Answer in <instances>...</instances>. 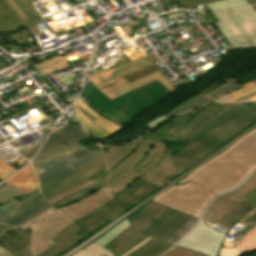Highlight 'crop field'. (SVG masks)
<instances>
[{
	"mask_svg": "<svg viewBox=\"0 0 256 256\" xmlns=\"http://www.w3.org/2000/svg\"><path fill=\"white\" fill-rule=\"evenodd\" d=\"M104 169V158L101 155L76 171L63 167L39 179L40 190L43 195L41 193L36 195L12 212L1 217L0 223L17 227L51 206L57 209L89 195L102 186L95 182L51 205L45 201L90 180Z\"/></svg>",
	"mask_w": 256,
	"mask_h": 256,
	"instance_id": "8a807250",
	"label": "crop field"
},
{
	"mask_svg": "<svg viewBox=\"0 0 256 256\" xmlns=\"http://www.w3.org/2000/svg\"><path fill=\"white\" fill-rule=\"evenodd\" d=\"M255 169L256 129L198 167L176 185L195 181L218 195L238 186Z\"/></svg>",
	"mask_w": 256,
	"mask_h": 256,
	"instance_id": "ac0d7876",
	"label": "crop field"
},
{
	"mask_svg": "<svg viewBox=\"0 0 256 256\" xmlns=\"http://www.w3.org/2000/svg\"><path fill=\"white\" fill-rule=\"evenodd\" d=\"M232 112H228L193 138L179 140L190 145L173 157L180 172L170 180L195 166L220 145L253 124Z\"/></svg>",
	"mask_w": 256,
	"mask_h": 256,
	"instance_id": "34b2d1b8",
	"label": "crop field"
},
{
	"mask_svg": "<svg viewBox=\"0 0 256 256\" xmlns=\"http://www.w3.org/2000/svg\"><path fill=\"white\" fill-rule=\"evenodd\" d=\"M168 93L169 91L156 79L113 99L125 109L123 110L104 96L91 82L85 84L84 92H82L99 109L126 124L151 107L154 102L167 96Z\"/></svg>",
	"mask_w": 256,
	"mask_h": 256,
	"instance_id": "412701ff",
	"label": "crop field"
},
{
	"mask_svg": "<svg viewBox=\"0 0 256 256\" xmlns=\"http://www.w3.org/2000/svg\"><path fill=\"white\" fill-rule=\"evenodd\" d=\"M158 188L160 187L138 179L109 204L95 211L86 218L75 222L82 228L78 235L84 237L107 224L120 213L126 211Z\"/></svg>",
	"mask_w": 256,
	"mask_h": 256,
	"instance_id": "f4fd0767",
	"label": "crop field"
},
{
	"mask_svg": "<svg viewBox=\"0 0 256 256\" xmlns=\"http://www.w3.org/2000/svg\"><path fill=\"white\" fill-rule=\"evenodd\" d=\"M216 26L237 48L256 46V14L250 7L212 11Z\"/></svg>",
	"mask_w": 256,
	"mask_h": 256,
	"instance_id": "dd49c442",
	"label": "crop field"
},
{
	"mask_svg": "<svg viewBox=\"0 0 256 256\" xmlns=\"http://www.w3.org/2000/svg\"><path fill=\"white\" fill-rule=\"evenodd\" d=\"M73 222L75 221L59 208L55 210L52 207L18 227L27 228L30 226L32 228L29 242L30 252L32 256H37L53 246L55 243L50 240Z\"/></svg>",
	"mask_w": 256,
	"mask_h": 256,
	"instance_id": "e52e79f7",
	"label": "crop field"
},
{
	"mask_svg": "<svg viewBox=\"0 0 256 256\" xmlns=\"http://www.w3.org/2000/svg\"><path fill=\"white\" fill-rule=\"evenodd\" d=\"M213 197L214 195L201 186L190 183L182 186H173L152 200L198 218Z\"/></svg>",
	"mask_w": 256,
	"mask_h": 256,
	"instance_id": "d8731c3e",
	"label": "crop field"
},
{
	"mask_svg": "<svg viewBox=\"0 0 256 256\" xmlns=\"http://www.w3.org/2000/svg\"><path fill=\"white\" fill-rule=\"evenodd\" d=\"M148 142H130L111 146L104 153L107 173L98 182L107 190L136 169L128 167ZM122 158V160H121Z\"/></svg>",
	"mask_w": 256,
	"mask_h": 256,
	"instance_id": "5a996713",
	"label": "crop field"
},
{
	"mask_svg": "<svg viewBox=\"0 0 256 256\" xmlns=\"http://www.w3.org/2000/svg\"><path fill=\"white\" fill-rule=\"evenodd\" d=\"M88 138L81 125L49 135L32 161L33 166L68 152L76 160L89 153L77 141Z\"/></svg>",
	"mask_w": 256,
	"mask_h": 256,
	"instance_id": "3316defc",
	"label": "crop field"
},
{
	"mask_svg": "<svg viewBox=\"0 0 256 256\" xmlns=\"http://www.w3.org/2000/svg\"><path fill=\"white\" fill-rule=\"evenodd\" d=\"M254 205L228 193L216 197L206 208L202 218L230 230Z\"/></svg>",
	"mask_w": 256,
	"mask_h": 256,
	"instance_id": "28ad6ade",
	"label": "crop field"
},
{
	"mask_svg": "<svg viewBox=\"0 0 256 256\" xmlns=\"http://www.w3.org/2000/svg\"><path fill=\"white\" fill-rule=\"evenodd\" d=\"M136 169L145 173L140 179L158 186L167 182L178 170L170 157L167 147L157 142ZM163 176L165 177L164 179L162 178Z\"/></svg>",
	"mask_w": 256,
	"mask_h": 256,
	"instance_id": "d1516ede",
	"label": "crop field"
},
{
	"mask_svg": "<svg viewBox=\"0 0 256 256\" xmlns=\"http://www.w3.org/2000/svg\"><path fill=\"white\" fill-rule=\"evenodd\" d=\"M28 19L21 21L5 0H0V32L8 33L28 27L33 35L40 34L36 24L42 22V17L29 0H13ZM35 38V37H34ZM36 40V39H35Z\"/></svg>",
	"mask_w": 256,
	"mask_h": 256,
	"instance_id": "22f410ed",
	"label": "crop field"
},
{
	"mask_svg": "<svg viewBox=\"0 0 256 256\" xmlns=\"http://www.w3.org/2000/svg\"><path fill=\"white\" fill-rule=\"evenodd\" d=\"M224 237L225 233L206 226L204 221L200 220L195 228L176 245L208 256H217Z\"/></svg>",
	"mask_w": 256,
	"mask_h": 256,
	"instance_id": "cbeb9de0",
	"label": "crop field"
},
{
	"mask_svg": "<svg viewBox=\"0 0 256 256\" xmlns=\"http://www.w3.org/2000/svg\"><path fill=\"white\" fill-rule=\"evenodd\" d=\"M223 106L212 102L208 105L196 109L191 115L187 116L183 121L178 124H174L152 140H166L170 142H176L186 133H188L196 125L204 121L211 114L220 110Z\"/></svg>",
	"mask_w": 256,
	"mask_h": 256,
	"instance_id": "5142ce71",
	"label": "crop field"
},
{
	"mask_svg": "<svg viewBox=\"0 0 256 256\" xmlns=\"http://www.w3.org/2000/svg\"><path fill=\"white\" fill-rule=\"evenodd\" d=\"M78 117L86 131L95 139L110 136L121 127L101 117L79 98L75 102Z\"/></svg>",
	"mask_w": 256,
	"mask_h": 256,
	"instance_id": "d9b57169",
	"label": "crop field"
},
{
	"mask_svg": "<svg viewBox=\"0 0 256 256\" xmlns=\"http://www.w3.org/2000/svg\"><path fill=\"white\" fill-rule=\"evenodd\" d=\"M173 212L175 210L151 201L128 221L142 234L149 235Z\"/></svg>",
	"mask_w": 256,
	"mask_h": 256,
	"instance_id": "733c2abd",
	"label": "crop field"
},
{
	"mask_svg": "<svg viewBox=\"0 0 256 256\" xmlns=\"http://www.w3.org/2000/svg\"><path fill=\"white\" fill-rule=\"evenodd\" d=\"M114 197L115 196L102 187L89 196L73 204L60 207V209L72 217L75 221H78L107 204Z\"/></svg>",
	"mask_w": 256,
	"mask_h": 256,
	"instance_id": "4a817a6b",
	"label": "crop field"
},
{
	"mask_svg": "<svg viewBox=\"0 0 256 256\" xmlns=\"http://www.w3.org/2000/svg\"><path fill=\"white\" fill-rule=\"evenodd\" d=\"M103 154L102 149H98L92 153H89L82 157L79 160H75L73 157H71L68 153L65 155H62L60 157L54 158L52 160H49L47 162H44L40 165H37L34 167V171L36 173L37 178H41L63 166H66L68 168H71L73 170L83 166L84 164L90 162L91 160L95 159L99 155Z\"/></svg>",
	"mask_w": 256,
	"mask_h": 256,
	"instance_id": "bc2a9ffb",
	"label": "crop field"
},
{
	"mask_svg": "<svg viewBox=\"0 0 256 256\" xmlns=\"http://www.w3.org/2000/svg\"><path fill=\"white\" fill-rule=\"evenodd\" d=\"M150 65H153V62L149 58V56L144 57L142 59H137L133 62L127 63L125 65L119 66L117 68L108 70L106 72L97 74L95 76H90L89 78L97 85H101L104 83H107L109 81H112L114 79H117L119 77L125 76L127 74H130L132 72H135L137 70L143 69L145 67H148ZM111 77V79H110Z\"/></svg>",
	"mask_w": 256,
	"mask_h": 256,
	"instance_id": "214f88e0",
	"label": "crop field"
},
{
	"mask_svg": "<svg viewBox=\"0 0 256 256\" xmlns=\"http://www.w3.org/2000/svg\"><path fill=\"white\" fill-rule=\"evenodd\" d=\"M29 228L26 230L6 227L0 232V246L12 255L28 246Z\"/></svg>",
	"mask_w": 256,
	"mask_h": 256,
	"instance_id": "92a150f3",
	"label": "crop field"
},
{
	"mask_svg": "<svg viewBox=\"0 0 256 256\" xmlns=\"http://www.w3.org/2000/svg\"><path fill=\"white\" fill-rule=\"evenodd\" d=\"M81 228L75 223L67 226L63 229L52 241L57 244L51 247L49 250L41 254L40 256H54L79 242L82 237L76 235Z\"/></svg>",
	"mask_w": 256,
	"mask_h": 256,
	"instance_id": "dafd665d",
	"label": "crop field"
},
{
	"mask_svg": "<svg viewBox=\"0 0 256 256\" xmlns=\"http://www.w3.org/2000/svg\"><path fill=\"white\" fill-rule=\"evenodd\" d=\"M6 182L25 192L26 194L38 188L37 180L31 165H28L20 172L15 174Z\"/></svg>",
	"mask_w": 256,
	"mask_h": 256,
	"instance_id": "00972430",
	"label": "crop field"
},
{
	"mask_svg": "<svg viewBox=\"0 0 256 256\" xmlns=\"http://www.w3.org/2000/svg\"><path fill=\"white\" fill-rule=\"evenodd\" d=\"M190 216L176 211L160 227L150 234L152 237L167 239L171 236Z\"/></svg>",
	"mask_w": 256,
	"mask_h": 256,
	"instance_id": "a9b5d70f",
	"label": "crop field"
},
{
	"mask_svg": "<svg viewBox=\"0 0 256 256\" xmlns=\"http://www.w3.org/2000/svg\"><path fill=\"white\" fill-rule=\"evenodd\" d=\"M255 250L256 225L234 246L232 250L221 247L218 256H240L243 253Z\"/></svg>",
	"mask_w": 256,
	"mask_h": 256,
	"instance_id": "4177f3b9",
	"label": "crop field"
},
{
	"mask_svg": "<svg viewBox=\"0 0 256 256\" xmlns=\"http://www.w3.org/2000/svg\"><path fill=\"white\" fill-rule=\"evenodd\" d=\"M156 78H158L170 92L175 90V89H177L166 79V77L160 71H158V72H156L154 74H151V75H149L147 77H144V78H142L140 80H137V81L132 82V83H130L128 85H125V86H123V87H121V88H119V89H117V90H115V91H113V92H111L109 94H107V93L106 94L111 99H113V98H115V97H117V96H119L121 94H124V93H126V92H128V91H130V90H132L134 88H137V87H139V86H141V85H143L145 83H148V82H150V81H152V80H154Z\"/></svg>",
	"mask_w": 256,
	"mask_h": 256,
	"instance_id": "730fd06b",
	"label": "crop field"
},
{
	"mask_svg": "<svg viewBox=\"0 0 256 256\" xmlns=\"http://www.w3.org/2000/svg\"><path fill=\"white\" fill-rule=\"evenodd\" d=\"M156 71H158V69L155 65H153L151 67H148V68H145L143 70L137 71V72L132 73L130 75H127L125 77H122V78H119V79L114 80L112 82H109L107 84L101 85L98 88H100L103 91V93L106 94V93H109V92H111V91H113V90H115V89H117V88H119V87H121L125 84H128L132 81H135L139 78L147 76V75H149L151 73H154Z\"/></svg>",
	"mask_w": 256,
	"mask_h": 256,
	"instance_id": "eef30255",
	"label": "crop field"
},
{
	"mask_svg": "<svg viewBox=\"0 0 256 256\" xmlns=\"http://www.w3.org/2000/svg\"><path fill=\"white\" fill-rule=\"evenodd\" d=\"M171 246L172 244L158 241L152 238L148 243L144 244L129 256H159L168 250Z\"/></svg>",
	"mask_w": 256,
	"mask_h": 256,
	"instance_id": "ae1a2a85",
	"label": "crop field"
},
{
	"mask_svg": "<svg viewBox=\"0 0 256 256\" xmlns=\"http://www.w3.org/2000/svg\"><path fill=\"white\" fill-rule=\"evenodd\" d=\"M210 101H212V100H210L209 98H207L205 96L198 94V95L182 102L179 106H177L176 108H174L173 110H171L170 112L165 114V116L170 118L177 114L191 111V110H193L199 106H202Z\"/></svg>",
	"mask_w": 256,
	"mask_h": 256,
	"instance_id": "d3111659",
	"label": "crop field"
},
{
	"mask_svg": "<svg viewBox=\"0 0 256 256\" xmlns=\"http://www.w3.org/2000/svg\"><path fill=\"white\" fill-rule=\"evenodd\" d=\"M72 56L71 53L61 57H55V58H51L48 59L44 62H41L37 65H35V67L41 72V74L43 76L50 74L52 72H55L61 68H65L67 66H69V64L67 62H69L66 58Z\"/></svg>",
	"mask_w": 256,
	"mask_h": 256,
	"instance_id": "750c4746",
	"label": "crop field"
},
{
	"mask_svg": "<svg viewBox=\"0 0 256 256\" xmlns=\"http://www.w3.org/2000/svg\"><path fill=\"white\" fill-rule=\"evenodd\" d=\"M150 239H151L150 237L146 238L145 240L140 242L138 245H136L134 248H132L130 251L125 253L123 256L129 255L130 253L135 251L138 247L142 246L144 243H146ZM105 254L107 256H113V254L111 252H109L106 249H104L103 247L93 243V244H91L87 247H84V248L78 250L77 252H75L71 256H103Z\"/></svg>",
	"mask_w": 256,
	"mask_h": 256,
	"instance_id": "bd1437ed",
	"label": "crop field"
},
{
	"mask_svg": "<svg viewBox=\"0 0 256 256\" xmlns=\"http://www.w3.org/2000/svg\"><path fill=\"white\" fill-rule=\"evenodd\" d=\"M231 193L256 204V172L245 184L241 185Z\"/></svg>",
	"mask_w": 256,
	"mask_h": 256,
	"instance_id": "1d83c4d3",
	"label": "crop field"
},
{
	"mask_svg": "<svg viewBox=\"0 0 256 256\" xmlns=\"http://www.w3.org/2000/svg\"><path fill=\"white\" fill-rule=\"evenodd\" d=\"M244 88L233 91L229 94H226L220 98L215 99L216 101H227V102H236L240 99H243L247 96H250L256 93V80L244 84Z\"/></svg>",
	"mask_w": 256,
	"mask_h": 256,
	"instance_id": "120bbe31",
	"label": "crop field"
},
{
	"mask_svg": "<svg viewBox=\"0 0 256 256\" xmlns=\"http://www.w3.org/2000/svg\"><path fill=\"white\" fill-rule=\"evenodd\" d=\"M129 225L130 224L127 222V219H124L122 222H120L115 227H113L108 232H106L104 235H102L97 240H95V243L104 247L107 243H109L112 239H114L118 234H120Z\"/></svg>",
	"mask_w": 256,
	"mask_h": 256,
	"instance_id": "d32e631a",
	"label": "crop field"
},
{
	"mask_svg": "<svg viewBox=\"0 0 256 256\" xmlns=\"http://www.w3.org/2000/svg\"><path fill=\"white\" fill-rule=\"evenodd\" d=\"M147 236L141 235L137 231L131 235L125 242H123L117 249H115L112 253L115 256H121L125 252H127L129 249L134 247L136 244H138L140 241L145 239Z\"/></svg>",
	"mask_w": 256,
	"mask_h": 256,
	"instance_id": "5866460e",
	"label": "crop field"
},
{
	"mask_svg": "<svg viewBox=\"0 0 256 256\" xmlns=\"http://www.w3.org/2000/svg\"><path fill=\"white\" fill-rule=\"evenodd\" d=\"M243 87L241 84L237 83L236 81L232 80L224 85H221L220 87L214 89L213 91L205 94L206 96L215 99L217 97H220L226 93H229L235 89H239ZM236 91V90H235Z\"/></svg>",
	"mask_w": 256,
	"mask_h": 256,
	"instance_id": "028f5c9d",
	"label": "crop field"
},
{
	"mask_svg": "<svg viewBox=\"0 0 256 256\" xmlns=\"http://www.w3.org/2000/svg\"><path fill=\"white\" fill-rule=\"evenodd\" d=\"M228 110L227 108H222L220 111H218L217 113H215L214 115L210 116L208 119H206L204 122H202L201 124H199L198 126H196L194 129H192L188 134H186L184 137L186 138H191L193 137L195 134H197L198 132H200L201 130H203L205 127H207L208 125H210L211 123H213L215 120H217L218 118H220L221 116H223L225 113H227Z\"/></svg>",
	"mask_w": 256,
	"mask_h": 256,
	"instance_id": "e1f06a70",
	"label": "crop field"
},
{
	"mask_svg": "<svg viewBox=\"0 0 256 256\" xmlns=\"http://www.w3.org/2000/svg\"><path fill=\"white\" fill-rule=\"evenodd\" d=\"M18 195L20 194L11 189L0 194V214L18 203L12 199Z\"/></svg>",
	"mask_w": 256,
	"mask_h": 256,
	"instance_id": "0bd39190",
	"label": "crop field"
},
{
	"mask_svg": "<svg viewBox=\"0 0 256 256\" xmlns=\"http://www.w3.org/2000/svg\"><path fill=\"white\" fill-rule=\"evenodd\" d=\"M141 175H143V173L137 170L108 191H110L112 194L116 196L125 188H127L130 184H132L135 180H137Z\"/></svg>",
	"mask_w": 256,
	"mask_h": 256,
	"instance_id": "b80d0937",
	"label": "crop field"
},
{
	"mask_svg": "<svg viewBox=\"0 0 256 256\" xmlns=\"http://www.w3.org/2000/svg\"><path fill=\"white\" fill-rule=\"evenodd\" d=\"M197 219L190 217L171 237L166 241L175 244L179 239H181L195 224Z\"/></svg>",
	"mask_w": 256,
	"mask_h": 256,
	"instance_id": "c035e120",
	"label": "crop field"
},
{
	"mask_svg": "<svg viewBox=\"0 0 256 256\" xmlns=\"http://www.w3.org/2000/svg\"><path fill=\"white\" fill-rule=\"evenodd\" d=\"M136 230L130 225L125 231H123L119 236H117L113 241H111L106 248L109 251H113L117 248L123 241H125L131 234H133Z\"/></svg>",
	"mask_w": 256,
	"mask_h": 256,
	"instance_id": "c21b1889",
	"label": "crop field"
},
{
	"mask_svg": "<svg viewBox=\"0 0 256 256\" xmlns=\"http://www.w3.org/2000/svg\"><path fill=\"white\" fill-rule=\"evenodd\" d=\"M249 5L245 0H224L212 4H208L210 9L232 8Z\"/></svg>",
	"mask_w": 256,
	"mask_h": 256,
	"instance_id": "03da06ac",
	"label": "crop field"
},
{
	"mask_svg": "<svg viewBox=\"0 0 256 256\" xmlns=\"http://www.w3.org/2000/svg\"><path fill=\"white\" fill-rule=\"evenodd\" d=\"M220 104L224 105L225 107H227L234 113L242 116L243 118H245L253 123L256 122V115L244 110L243 108L237 106L236 104H234V103H220Z\"/></svg>",
	"mask_w": 256,
	"mask_h": 256,
	"instance_id": "b54c1fbb",
	"label": "crop field"
},
{
	"mask_svg": "<svg viewBox=\"0 0 256 256\" xmlns=\"http://www.w3.org/2000/svg\"><path fill=\"white\" fill-rule=\"evenodd\" d=\"M162 256H204L201 254H197L185 249H181L178 247H174L173 249H171L169 252L165 253Z\"/></svg>",
	"mask_w": 256,
	"mask_h": 256,
	"instance_id": "5d738f31",
	"label": "crop field"
},
{
	"mask_svg": "<svg viewBox=\"0 0 256 256\" xmlns=\"http://www.w3.org/2000/svg\"><path fill=\"white\" fill-rule=\"evenodd\" d=\"M193 112V111H192ZM192 112H189V113H185V114H182V115H179V116H176L174 118H171L174 120V122H170L168 124H166L165 126L161 127L160 129H158L157 131H155L154 133H152L151 135L141 139V140H150L152 139L153 137H155L157 134H159L161 131L165 130L166 128H168L170 125H172L173 123L175 122H180L181 120H183L187 115H189L190 113ZM174 125V124H173ZM162 133V132H161Z\"/></svg>",
	"mask_w": 256,
	"mask_h": 256,
	"instance_id": "d23c7cc5",
	"label": "crop field"
},
{
	"mask_svg": "<svg viewBox=\"0 0 256 256\" xmlns=\"http://www.w3.org/2000/svg\"><path fill=\"white\" fill-rule=\"evenodd\" d=\"M14 168L6 164L1 158H0V178L5 180L10 175H12L14 172H16Z\"/></svg>",
	"mask_w": 256,
	"mask_h": 256,
	"instance_id": "425ffa30",
	"label": "crop field"
},
{
	"mask_svg": "<svg viewBox=\"0 0 256 256\" xmlns=\"http://www.w3.org/2000/svg\"><path fill=\"white\" fill-rule=\"evenodd\" d=\"M216 1H220V0H188L185 2H181V5L184 7V9H186L189 7L199 6V5L208 4Z\"/></svg>",
	"mask_w": 256,
	"mask_h": 256,
	"instance_id": "25e5ab78",
	"label": "crop field"
},
{
	"mask_svg": "<svg viewBox=\"0 0 256 256\" xmlns=\"http://www.w3.org/2000/svg\"><path fill=\"white\" fill-rule=\"evenodd\" d=\"M93 182H95V180L92 179V180L88 181L87 183H84V184H82V185H80V186H78V187H76V188H74V189L64 193V194H61L59 196H56V197H54L52 199L47 200V202H49L51 204V203H53V202H55V201L65 197V196H67V195H69V194H71V193H73V192H75V191H77V190H79V189H81V188H83V187L93 183Z\"/></svg>",
	"mask_w": 256,
	"mask_h": 256,
	"instance_id": "73cf0c24",
	"label": "crop field"
},
{
	"mask_svg": "<svg viewBox=\"0 0 256 256\" xmlns=\"http://www.w3.org/2000/svg\"><path fill=\"white\" fill-rule=\"evenodd\" d=\"M155 142H149L148 145L143 149V151L139 154V156L136 158V160L134 161V163H132L130 165V167L135 168L138 163L143 159V157L145 156V154L149 151V149L154 145Z\"/></svg>",
	"mask_w": 256,
	"mask_h": 256,
	"instance_id": "89e229c0",
	"label": "crop field"
},
{
	"mask_svg": "<svg viewBox=\"0 0 256 256\" xmlns=\"http://www.w3.org/2000/svg\"><path fill=\"white\" fill-rule=\"evenodd\" d=\"M256 224V209L246 218L243 225Z\"/></svg>",
	"mask_w": 256,
	"mask_h": 256,
	"instance_id": "1f2cbd36",
	"label": "crop field"
},
{
	"mask_svg": "<svg viewBox=\"0 0 256 256\" xmlns=\"http://www.w3.org/2000/svg\"><path fill=\"white\" fill-rule=\"evenodd\" d=\"M6 1L13 8V10L17 13V15L21 18V20L26 19L25 15L20 11V9L16 6V4L12 0H6Z\"/></svg>",
	"mask_w": 256,
	"mask_h": 256,
	"instance_id": "dbb93151",
	"label": "crop field"
},
{
	"mask_svg": "<svg viewBox=\"0 0 256 256\" xmlns=\"http://www.w3.org/2000/svg\"><path fill=\"white\" fill-rule=\"evenodd\" d=\"M167 119L168 118H166L165 116L162 115L161 117H159V118H157V119L147 123L145 126L150 129L151 127H153V126H155V125H157V124H159V123H161V122H163V121H165Z\"/></svg>",
	"mask_w": 256,
	"mask_h": 256,
	"instance_id": "0fb4a251",
	"label": "crop field"
},
{
	"mask_svg": "<svg viewBox=\"0 0 256 256\" xmlns=\"http://www.w3.org/2000/svg\"><path fill=\"white\" fill-rule=\"evenodd\" d=\"M141 26H143V25L141 23H139V24H136L134 26L125 25V26H122L120 28L124 32V34H126L128 32H131V30H133V29H135L137 27H141Z\"/></svg>",
	"mask_w": 256,
	"mask_h": 256,
	"instance_id": "1d79db26",
	"label": "crop field"
},
{
	"mask_svg": "<svg viewBox=\"0 0 256 256\" xmlns=\"http://www.w3.org/2000/svg\"><path fill=\"white\" fill-rule=\"evenodd\" d=\"M236 104L243 107L244 109L256 114V103H253L251 107H249L243 103H236Z\"/></svg>",
	"mask_w": 256,
	"mask_h": 256,
	"instance_id": "9d1cf04e",
	"label": "crop field"
},
{
	"mask_svg": "<svg viewBox=\"0 0 256 256\" xmlns=\"http://www.w3.org/2000/svg\"><path fill=\"white\" fill-rule=\"evenodd\" d=\"M38 193H40V191H39V192H37V193H35V194H33L32 196H30V197L26 198L25 200H23V201L19 202L17 205H15L13 208L9 209L8 211H6V212L2 213V214L0 215V217H1V216H3V215H5L6 213H8V212L12 211L15 207L19 206L20 204H22L23 202H25V201H27L28 199L32 198L33 196H35V195H36V194H38Z\"/></svg>",
	"mask_w": 256,
	"mask_h": 256,
	"instance_id": "447ae74e",
	"label": "crop field"
},
{
	"mask_svg": "<svg viewBox=\"0 0 256 256\" xmlns=\"http://www.w3.org/2000/svg\"><path fill=\"white\" fill-rule=\"evenodd\" d=\"M13 256H30L28 247Z\"/></svg>",
	"mask_w": 256,
	"mask_h": 256,
	"instance_id": "0765c3eb",
	"label": "crop field"
},
{
	"mask_svg": "<svg viewBox=\"0 0 256 256\" xmlns=\"http://www.w3.org/2000/svg\"><path fill=\"white\" fill-rule=\"evenodd\" d=\"M0 256H12V255L8 253L5 249L0 247Z\"/></svg>",
	"mask_w": 256,
	"mask_h": 256,
	"instance_id": "db79e9e6",
	"label": "crop field"
},
{
	"mask_svg": "<svg viewBox=\"0 0 256 256\" xmlns=\"http://www.w3.org/2000/svg\"><path fill=\"white\" fill-rule=\"evenodd\" d=\"M57 52L58 51L56 50L54 52L48 53L47 55L49 56V58L54 57V56H58L59 54Z\"/></svg>",
	"mask_w": 256,
	"mask_h": 256,
	"instance_id": "7b73153f",
	"label": "crop field"
},
{
	"mask_svg": "<svg viewBox=\"0 0 256 256\" xmlns=\"http://www.w3.org/2000/svg\"><path fill=\"white\" fill-rule=\"evenodd\" d=\"M4 184L8 185L11 189H13V190H15V191L21 193L22 195L25 194V193L21 192L20 190L16 189L15 187L11 186L10 184H8V183H6V182H5Z\"/></svg>",
	"mask_w": 256,
	"mask_h": 256,
	"instance_id": "78b8030e",
	"label": "crop field"
},
{
	"mask_svg": "<svg viewBox=\"0 0 256 256\" xmlns=\"http://www.w3.org/2000/svg\"><path fill=\"white\" fill-rule=\"evenodd\" d=\"M115 38H116V37H115ZM112 39H114V38H112ZM112 39H109V40H106V41H104V42L98 43V44H97V47L104 46L106 42H108V41H110V40H112ZM97 47H96V48H97Z\"/></svg>",
	"mask_w": 256,
	"mask_h": 256,
	"instance_id": "0f1d7ab4",
	"label": "crop field"
},
{
	"mask_svg": "<svg viewBox=\"0 0 256 256\" xmlns=\"http://www.w3.org/2000/svg\"><path fill=\"white\" fill-rule=\"evenodd\" d=\"M247 2H248L250 5H255V4H256V0H247Z\"/></svg>",
	"mask_w": 256,
	"mask_h": 256,
	"instance_id": "e1d0b9f6",
	"label": "crop field"
},
{
	"mask_svg": "<svg viewBox=\"0 0 256 256\" xmlns=\"http://www.w3.org/2000/svg\"><path fill=\"white\" fill-rule=\"evenodd\" d=\"M245 101H256V96H254V97H252V98H249V99H247V100H245Z\"/></svg>",
	"mask_w": 256,
	"mask_h": 256,
	"instance_id": "ae633e8c",
	"label": "crop field"
},
{
	"mask_svg": "<svg viewBox=\"0 0 256 256\" xmlns=\"http://www.w3.org/2000/svg\"><path fill=\"white\" fill-rule=\"evenodd\" d=\"M7 189H9V187H7V186L1 188V189H0V193L3 192V191H5V190H7Z\"/></svg>",
	"mask_w": 256,
	"mask_h": 256,
	"instance_id": "d14b1444",
	"label": "crop field"
},
{
	"mask_svg": "<svg viewBox=\"0 0 256 256\" xmlns=\"http://www.w3.org/2000/svg\"><path fill=\"white\" fill-rule=\"evenodd\" d=\"M105 172V170L103 172H101L99 175H97L96 177H94V179L96 180L97 177H99L101 174H103ZM98 179V178H97Z\"/></svg>",
	"mask_w": 256,
	"mask_h": 256,
	"instance_id": "c39391a2",
	"label": "crop field"
},
{
	"mask_svg": "<svg viewBox=\"0 0 256 256\" xmlns=\"http://www.w3.org/2000/svg\"><path fill=\"white\" fill-rule=\"evenodd\" d=\"M4 227H6V225H1V224H0V231H1ZM4 229H5V228H4Z\"/></svg>",
	"mask_w": 256,
	"mask_h": 256,
	"instance_id": "ade564c9",
	"label": "crop field"
},
{
	"mask_svg": "<svg viewBox=\"0 0 256 256\" xmlns=\"http://www.w3.org/2000/svg\"><path fill=\"white\" fill-rule=\"evenodd\" d=\"M108 148H109V147H103L104 152H105Z\"/></svg>",
	"mask_w": 256,
	"mask_h": 256,
	"instance_id": "c5b07064",
	"label": "crop field"
},
{
	"mask_svg": "<svg viewBox=\"0 0 256 256\" xmlns=\"http://www.w3.org/2000/svg\"><path fill=\"white\" fill-rule=\"evenodd\" d=\"M252 8L256 11V5H255V6H252Z\"/></svg>",
	"mask_w": 256,
	"mask_h": 256,
	"instance_id": "c3a83c6f",
	"label": "crop field"
},
{
	"mask_svg": "<svg viewBox=\"0 0 256 256\" xmlns=\"http://www.w3.org/2000/svg\"><path fill=\"white\" fill-rule=\"evenodd\" d=\"M254 95H256V94H254ZM254 95H252V96H254ZM252 96H250V97H252ZM247 98H249V97H247ZM247 98H245V99H247ZM245 99H243V100H245ZM243 100H240V101H243Z\"/></svg>",
	"mask_w": 256,
	"mask_h": 256,
	"instance_id": "fb207236",
	"label": "crop field"
},
{
	"mask_svg": "<svg viewBox=\"0 0 256 256\" xmlns=\"http://www.w3.org/2000/svg\"><path fill=\"white\" fill-rule=\"evenodd\" d=\"M37 191H39V190H37ZM37 191H36V192H37ZM34 193H35V192H34ZM31 195H32V194H31ZM29 196H30V195H29ZM27 197H28V196H27ZM25 198H26V197H25ZM25 198H24V199H25ZM22 200H23V199H22ZM20 201H21V200H20ZM18 202H19V201H18Z\"/></svg>",
	"mask_w": 256,
	"mask_h": 256,
	"instance_id": "7312dd0a",
	"label": "crop field"
},
{
	"mask_svg": "<svg viewBox=\"0 0 256 256\" xmlns=\"http://www.w3.org/2000/svg\"><path fill=\"white\" fill-rule=\"evenodd\" d=\"M3 186H5V185L2 184V185L0 186V188L3 187Z\"/></svg>",
	"mask_w": 256,
	"mask_h": 256,
	"instance_id": "180be81f",
	"label": "crop field"
},
{
	"mask_svg": "<svg viewBox=\"0 0 256 256\" xmlns=\"http://www.w3.org/2000/svg\"><path fill=\"white\" fill-rule=\"evenodd\" d=\"M0 181H3V180L0 179Z\"/></svg>",
	"mask_w": 256,
	"mask_h": 256,
	"instance_id": "f0312440",
	"label": "crop field"
},
{
	"mask_svg": "<svg viewBox=\"0 0 256 256\" xmlns=\"http://www.w3.org/2000/svg\"><path fill=\"white\" fill-rule=\"evenodd\" d=\"M106 256V255H105Z\"/></svg>",
	"mask_w": 256,
	"mask_h": 256,
	"instance_id": "1f1604b0",
	"label": "crop field"
},
{
	"mask_svg": "<svg viewBox=\"0 0 256 256\" xmlns=\"http://www.w3.org/2000/svg\"><path fill=\"white\" fill-rule=\"evenodd\" d=\"M1 34V33H0Z\"/></svg>",
	"mask_w": 256,
	"mask_h": 256,
	"instance_id": "819c52e7",
	"label": "crop field"
}]
</instances>
